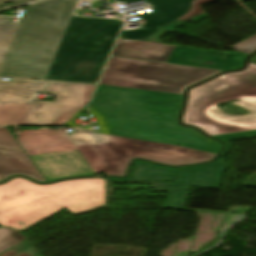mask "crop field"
I'll use <instances>...</instances> for the list:
<instances>
[{
	"mask_svg": "<svg viewBox=\"0 0 256 256\" xmlns=\"http://www.w3.org/2000/svg\"><path fill=\"white\" fill-rule=\"evenodd\" d=\"M78 0H46L28 6L0 76L46 79Z\"/></svg>",
	"mask_w": 256,
	"mask_h": 256,
	"instance_id": "4",
	"label": "crop field"
},
{
	"mask_svg": "<svg viewBox=\"0 0 256 256\" xmlns=\"http://www.w3.org/2000/svg\"><path fill=\"white\" fill-rule=\"evenodd\" d=\"M229 49H233L239 52H243L247 55L251 54L253 51L256 50V35L229 48Z\"/></svg>",
	"mask_w": 256,
	"mask_h": 256,
	"instance_id": "18",
	"label": "crop field"
},
{
	"mask_svg": "<svg viewBox=\"0 0 256 256\" xmlns=\"http://www.w3.org/2000/svg\"><path fill=\"white\" fill-rule=\"evenodd\" d=\"M182 95L99 85L89 107L99 131L135 139L182 145L216 154L220 145L177 123Z\"/></svg>",
	"mask_w": 256,
	"mask_h": 256,
	"instance_id": "2",
	"label": "crop field"
},
{
	"mask_svg": "<svg viewBox=\"0 0 256 256\" xmlns=\"http://www.w3.org/2000/svg\"><path fill=\"white\" fill-rule=\"evenodd\" d=\"M24 239V236L17 231L0 228V252Z\"/></svg>",
	"mask_w": 256,
	"mask_h": 256,
	"instance_id": "16",
	"label": "crop field"
},
{
	"mask_svg": "<svg viewBox=\"0 0 256 256\" xmlns=\"http://www.w3.org/2000/svg\"><path fill=\"white\" fill-rule=\"evenodd\" d=\"M175 171L173 168L136 161L128 179L113 181H172Z\"/></svg>",
	"mask_w": 256,
	"mask_h": 256,
	"instance_id": "14",
	"label": "crop field"
},
{
	"mask_svg": "<svg viewBox=\"0 0 256 256\" xmlns=\"http://www.w3.org/2000/svg\"><path fill=\"white\" fill-rule=\"evenodd\" d=\"M16 139L47 179L70 176L124 175L132 158H145L180 166L211 160L214 154L176 145L116 137L88 130H22ZM19 130H22L19 133Z\"/></svg>",
	"mask_w": 256,
	"mask_h": 256,
	"instance_id": "1",
	"label": "crop field"
},
{
	"mask_svg": "<svg viewBox=\"0 0 256 256\" xmlns=\"http://www.w3.org/2000/svg\"><path fill=\"white\" fill-rule=\"evenodd\" d=\"M240 2H243V1H249V0H239Z\"/></svg>",
	"mask_w": 256,
	"mask_h": 256,
	"instance_id": "23",
	"label": "crop field"
},
{
	"mask_svg": "<svg viewBox=\"0 0 256 256\" xmlns=\"http://www.w3.org/2000/svg\"><path fill=\"white\" fill-rule=\"evenodd\" d=\"M20 1H31V0H0V3L20 2Z\"/></svg>",
	"mask_w": 256,
	"mask_h": 256,
	"instance_id": "22",
	"label": "crop field"
},
{
	"mask_svg": "<svg viewBox=\"0 0 256 256\" xmlns=\"http://www.w3.org/2000/svg\"><path fill=\"white\" fill-rule=\"evenodd\" d=\"M246 58L240 54L176 47L167 62L228 70L240 68Z\"/></svg>",
	"mask_w": 256,
	"mask_h": 256,
	"instance_id": "13",
	"label": "crop field"
},
{
	"mask_svg": "<svg viewBox=\"0 0 256 256\" xmlns=\"http://www.w3.org/2000/svg\"><path fill=\"white\" fill-rule=\"evenodd\" d=\"M218 72L221 70L112 57L100 84L182 94L184 88Z\"/></svg>",
	"mask_w": 256,
	"mask_h": 256,
	"instance_id": "8",
	"label": "crop field"
},
{
	"mask_svg": "<svg viewBox=\"0 0 256 256\" xmlns=\"http://www.w3.org/2000/svg\"><path fill=\"white\" fill-rule=\"evenodd\" d=\"M47 83L0 80V125H64L88 103L95 88L89 84L50 82L45 92L54 93V101L37 100L34 96L44 91Z\"/></svg>",
	"mask_w": 256,
	"mask_h": 256,
	"instance_id": "5",
	"label": "crop field"
},
{
	"mask_svg": "<svg viewBox=\"0 0 256 256\" xmlns=\"http://www.w3.org/2000/svg\"><path fill=\"white\" fill-rule=\"evenodd\" d=\"M36 253L38 254L37 256H41L30 242L24 241L0 256H32Z\"/></svg>",
	"mask_w": 256,
	"mask_h": 256,
	"instance_id": "17",
	"label": "crop field"
},
{
	"mask_svg": "<svg viewBox=\"0 0 256 256\" xmlns=\"http://www.w3.org/2000/svg\"><path fill=\"white\" fill-rule=\"evenodd\" d=\"M140 41H147V42H155L158 43L157 38H155L154 36L150 35L147 38L140 40Z\"/></svg>",
	"mask_w": 256,
	"mask_h": 256,
	"instance_id": "21",
	"label": "crop field"
},
{
	"mask_svg": "<svg viewBox=\"0 0 256 256\" xmlns=\"http://www.w3.org/2000/svg\"><path fill=\"white\" fill-rule=\"evenodd\" d=\"M86 109L87 108H83L77 115H79L80 113H83V112H85L86 111ZM75 117H76V115L67 123V124H65V125H67V126H71V127H74V126H76L74 123H73V121H74V119H75Z\"/></svg>",
	"mask_w": 256,
	"mask_h": 256,
	"instance_id": "20",
	"label": "crop field"
},
{
	"mask_svg": "<svg viewBox=\"0 0 256 256\" xmlns=\"http://www.w3.org/2000/svg\"><path fill=\"white\" fill-rule=\"evenodd\" d=\"M221 141H231V140H240V139H248V138H256V131L222 135L215 137Z\"/></svg>",
	"mask_w": 256,
	"mask_h": 256,
	"instance_id": "19",
	"label": "crop field"
},
{
	"mask_svg": "<svg viewBox=\"0 0 256 256\" xmlns=\"http://www.w3.org/2000/svg\"><path fill=\"white\" fill-rule=\"evenodd\" d=\"M250 114L223 113L216 104L232 99ZM184 123L193 124L210 135L256 129V65L249 63L243 72L223 75L190 90Z\"/></svg>",
	"mask_w": 256,
	"mask_h": 256,
	"instance_id": "6",
	"label": "crop field"
},
{
	"mask_svg": "<svg viewBox=\"0 0 256 256\" xmlns=\"http://www.w3.org/2000/svg\"><path fill=\"white\" fill-rule=\"evenodd\" d=\"M143 0H121L131 3ZM150 3L153 12L139 15L145 23L155 26L175 29L190 20L195 22L206 17L200 4L213 0H146Z\"/></svg>",
	"mask_w": 256,
	"mask_h": 256,
	"instance_id": "9",
	"label": "crop field"
},
{
	"mask_svg": "<svg viewBox=\"0 0 256 256\" xmlns=\"http://www.w3.org/2000/svg\"><path fill=\"white\" fill-rule=\"evenodd\" d=\"M12 174H23L45 182L6 128H0V179Z\"/></svg>",
	"mask_w": 256,
	"mask_h": 256,
	"instance_id": "12",
	"label": "crop field"
},
{
	"mask_svg": "<svg viewBox=\"0 0 256 256\" xmlns=\"http://www.w3.org/2000/svg\"><path fill=\"white\" fill-rule=\"evenodd\" d=\"M226 166L213 163L177 171L164 207L183 208L189 186L217 188Z\"/></svg>",
	"mask_w": 256,
	"mask_h": 256,
	"instance_id": "10",
	"label": "crop field"
},
{
	"mask_svg": "<svg viewBox=\"0 0 256 256\" xmlns=\"http://www.w3.org/2000/svg\"><path fill=\"white\" fill-rule=\"evenodd\" d=\"M121 23L73 16L47 79L97 83Z\"/></svg>",
	"mask_w": 256,
	"mask_h": 256,
	"instance_id": "7",
	"label": "crop field"
},
{
	"mask_svg": "<svg viewBox=\"0 0 256 256\" xmlns=\"http://www.w3.org/2000/svg\"><path fill=\"white\" fill-rule=\"evenodd\" d=\"M84 129H90V128H84Z\"/></svg>",
	"mask_w": 256,
	"mask_h": 256,
	"instance_id": "24",
	"label": "crop field"
},
{
	"mask_svg": "<svg viewBox=\"0 0 256 256\" xmlns=\"http://www.w3.org/2000/svg\"><path fill=\"white\" fill-rule=\"evenodd\" d=\"M158 30L159 27L144 24L140 29L122 31L112 56L166 62L174 46L135 41Z\"/></svg>",
	"mask_w": 256,
	"mask_h": 256,
	"instance_id": "11",
	"label": "crop field"
},
{
	"mask_svg": "<svg viewBox=\"0 0 256 256\" xmlns=\"http://www.w3.org/2000/svg\"><path fill=\"white\" fill-rule=\"evenodd\" d=\"M68 209L74 215L107 207L105 179L36 185L15 178L0 186V225L25 230Z\"/></svg>",
	"mask_w": 256,
	"mask_h": 256,
	"instance_id": "3",
	"label": "crop field"
},
{
	"mask_svg": "<svg viewBox=\"0 0 256 256\" xmlns=\"http://www.w3.org/2000/svg\"><path fill=\"white\" fill-rule=\"evenodd\" d=\"M13 18L0 17V67L19 24L11 23Z\"/></svg>",
	"mask_w": 256,
	"mask_h": 256,
	"instance_id": "15",
	"label": "crop field"
}]
</instances>
